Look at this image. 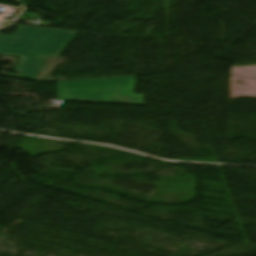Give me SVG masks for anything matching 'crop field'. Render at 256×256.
<instances>
[{
  "mask_svg": "<svg viewBox=\"0 0 256 256\" xmlns=\"http://www.w3.org/2000/svg\"><path fill=\"white\" fill-rule=\"evenodd\" d=\"M76 32L19 26L14 36L0 34V54L21 57L15 72L35 78L46 56L58 57Z\"/></svg>",
  "mask_w": 256,
  "mask_h": 256,
  "instance_id": "1",
  "label": "crop field"
},
{
  "mask_svg": "<svg viewBox=\"0 0 256 256\" xmlns=\"http://www.w3.org/2000/svg\"><path fill=\"white\" fill-rule=\"evenodd\" d=\"M135 76L58 82L61 101L144 105V96L133 94Z\"/></svg>",
  "mask_w": 256,
  "mask_h": 256,
  "instance_id": "2",
  "label": "crop field"
}]
</instances>
